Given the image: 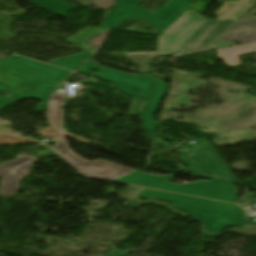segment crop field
I'll use <instances>...</instances> for the list:
<instances>
[{"mask_svg":"<svg viewBox=\"0 0 256 256\" xmlns=\"http://www.w3.org/2000/svg\"><path fill=\"white\" fill-rule=\"evenodd\" d=\"M71 71L48 66L23 57L0 60V82L8 83L14 102L25 98L42 101L37 111H47L56 85Z\"/></svg>","mask_w":256,"mask_h":256,"instance_id":"8a807250","label":"crop field"},{"mask_svg":"<svg viewBox=\"0 0 256 256\" xmlns=\"http://www.w3.org/2000/svg\"><path fill=\"white\" fill-rule=\"evenodd\" d=\"M138 197L168 201L202 222L204 235H217L223 227L244 225L243 213L234 204L198 199L185 195L143 189Z\"/></svg>","mask_w":256,"mask_h":256,"instance_id":"ac0d7876","label":"crop field"},{"mask_svg":"<svg viewBox=\"0 0 256 256\" xmlns=\"http://www.w3.org/2000/svg\"><path fill=\"white\" fill-rule=\"evenodd\" d=\"M64 99L65 97L63 95L53 94L48 103V116L52 120V125L60 130L61 136L60 142L53 150L90 177L113 180L133 172L132 170H128L119 165L110 164L103 160L85 162L70 149H68L62 135L63 112L60 110V108L62 105H64Z\"/></svg>","mask_w":256,"mask_h":256,"instance_id":"34b2d1b8","label":"crop field"},{"mask_svg":"<svg viewBox=\"0 0 256 256\" xmlns=\"http://www.w3.org/2000/svg\"><path fill=\"white\" fill-rule=\"evenodd\" d=\"M171 176L157 177L134 172L115 181L236 203L235 189L232 184L216 181L209 183L199 181L190 185H171L165 183Z\"/></svg>","mask_w":256,"mask_h":256,"instance_id":"412701ff","label":"crop field"},{"mask_svg":"<svg viewBox=\"0 0 256 256\" xmlns=\"http://www.w3.org/2000/svg\"><path fill=\"white\" fill-rule=\"evenodd\" d=\"M97 69L100 72L95 74L89 70ZM76 72L95 76L115 84L116 90L133 97L132 107L128 115L135 117L140 114L143 105L153 87L156 78L136 74H128L105 67L97 66L94 62L88 61Z\"/></svg>","mask_w":256,"mask_h":256,"instance_id":"f4fd0767","label":"crop field"},{"mask_svg":"<svg viewBox=\"0 0 256 256\" xmlns=\"http://www.w3.org/2000/svg\"><path fill=\"white\" fill-rule=\"evenodd\" d=\"M254 5H256V0L224 2L223 5L213 13L217 15L216 21L207 20L206 23L192 36L191 39L186 40L180 52L204 51L208 41H213L230 25H232L234 20L240 18Z\"/></svg>","mask_w":256,"mask_h":256,"instance_id":"dd49c442","label":"crop field"},{"mask_svg":"<svg viewBox=\"0 0 256 256\" xmlns=\"http://www.w3.org/2000/svg\"><path fill=\"white\" fill-rule=\"evenodd\" d=\"M183 149L181 160L189 166L194 176L229 183L237 182L208 141L197 140Z\"/></svg>","mask_w":256,"mask_h":256,"instance_id":"e52e79f7","label":"crop field"},{"mask_svg":"<svg viewBox=\"0 0 256 256\" xmlns=\"http://www.w3.org/2000/svg\"><path fill=\"white\" fill-rule=\"evenodd\" d=\"M189 13L194 15L189 16ZM205 20L192 9L189 10L166 32L160 35L158 54L178 51L183 40L188 38Z\"/></svg>","mask_w":256,"mask_h":256,"instance_id":"d8731c3e","label":"crop field"},{"mask_svg":"<svg viewBox=\"0 0 256 256\" xmlns=\"http://www.w3.org/2000/svg\"><path fill=\"white\" fill-rule=\"evenodd\" d=\"M193 1L171 0L165 6L159 8L156 13L137 8L130 18L147 20L148 25L155 27L153 33H159L179 17Z\"/></svg>","mask_w":256,"mask_h":256,"instance_id":"5a996713","label":"crop field"},{"mask_svg":"<svg viewBox=\"0 0 256 256\" xmlns=\"http://www.w3.org/2000/svg\"><path fill=\"white\" fill-rule=\"evenodd\" d=\"M35 158L21 157L15 161L0 166V177L4 178L0 189L1 196H9L17 191L21 178L27 175L29 163Z\"/></svg>","mask_w":256,"mask_h":256,"instance_id":"3316defc","label":"crop field"},{"mask_svg":"<svg viewBox=\"0 0 256 256\" xmlns=\"http://www.w3.org/2000/svg\"><path fill=\"white\" fill-rule=\"evenodd\" d=\"M164 82V80H156L151 94L139 117L145 123L142 129L148 132V136L152 141L154 140V136L158 126L157 122L153 120L152 116L158 110V105L160 101L167 94V91L169 89V86L167 84H164Z\"/></svg>","mask_w":256,"mask_h":256,"instance_id":"28ad6ade","label":"crop field"},{"mask_svg":"<svg viewBox=\"0 0 256 256\" xmlns=\"http://www.w3.org/2000/svg\"><path fill=\"white\" fill-rule=\"evenodd\" d=\"M220 38L226 43L237 40L240 45L256 42V19L235 23Z\"/></svg>","mask_w":256,"mask_h":256,"instance_id":"d1516ede","label":"crop field"},{"mask_svg":"<svg viewBox=\"0 0 256 256\" xmlns=\"http://www.w3.org/2000/svg\"><path fill=\"white\" fill-rule=\"evenodd\" d=\"M118 6L103 22L100 27L117 28V26L125 19L129 18L135 11L142 0H117Z\"/></svg>","mask_w":256,"mask_h":256,"instance_id":"22f410ed","label":"crop field"},{"mask_svg":"<svg viewBox=\"0 0 256 256\" xmlns=\"http://www.w3.org/2000/svg\"><path fill=\"white\" fill-rule=\"evenodd\" d=\"M254 52H256V43L217 51L219 57L229 66L240 65L237 56Z\"/></svg>","mask_w":256,"mask_h":256,"instance_id":"cbeb9de0","label":"crop field"},{"mask_svg":"<svg viewBox=\"0 0 256 256\" xmlns=\"http://www.w3.org/2000/svg\"><path fill=\"white\" fill-rule=\"evenodd\" d=\"M30 3L60 16H65L68 10L78 7L64 0H32Z\"/></svg>","mask_w":256,"mask_h":256,"instance_id":"5142ce71","label":"crop field"},{"mask_svg":"<svg viewBox=\"0 0 256 256\" xmlns=\"http://www.w3.org/2000/svg\"><path fill=\"white\" fill-rule=\"evenodd\" d=\"M90 56H91L90 53L85 52V53L76 55L74 57H70V58H66V59L50 62V64L57 65V66H60V67H63V68H66V69L74 71L75 68L78 65L81 64L79 61L85 60V59L89 58Z\"/></svg>","mask_w":256,"mask_h":256,"instance_id":"d9b57169","label":"crop field"},{"mask_svg":"<svg viewBox=\"0 0 256 256\" xmlns=\"http://www.w3.org/2000/svg\"><path fill=\"white\" fill-rule=\"evenodd\" d=\"M125 254H127V252H125V251L113 250V251L109 252L108 254H106L105 256H123Z\"/></svg>","mask_w":256,"mask_h":256,"instance_id":"733c2abd","label":"crop field"},{"mask_svg":"<svg viewBox=\"0 0 256 256\" xmlns=\"http://www.w3.org/2000/svg\"><path fill=\"white\" fill-rule=\"evenodd\" d=\"M0 93L10 95L7 84L0 83Z\"/></svg>","mask_w":256,"mask_h":256,"instance_id":"4a817a6b","label":"crop field"},{"mask_svg":"<svg viewBox=\"0 0 256 256\" xmlns=\"http://www.w3.org/2000/svg\"><path fill=\"white\" fill-rule=\"evenodd\" d=\"M12 102H13L12 99H0V105L6 106Z\"/></svg>","mask_w":256,"mask_h":256,"instance_id":"bc2a9ffb","label":"crop field"},{"mask_svg":"<svg viewBox=\"0 0 256 256\" xmlns=\"http://www.w3.org/2000/svg\"><path fill=\"white\" fill-rule=\"evenodd\" d=\"M114 54H155V51L138 52V53H114Z\"/></svg>","mask_w":256,"mask_h":256,"instance_id":"214f88e0","label":"crop field"},{"mask_svg":"<svg viewBox=\"0 0 256 256\" xmlns=\"http://www.w3.org/2000/svg\"><path fill=\"white\" fill-rule=\"evenodd\" d=\"M4 106H0V110L3 108Z\"/></svg>","mask_w":256,"mask_h":256,"instance_id":"92a150f3","label":"crop field"}]
</instances>
